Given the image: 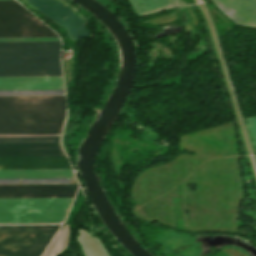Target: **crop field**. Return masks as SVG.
Here are the masks:
<instances>
[{
    "instance_id": "crop-field-14",
    "label": "crop field",
    "mask_w": 256,
    "mask_h": 256,
    "mask_svg": "<svg viewBox=\"0 0 256 256\" xmlns=\"http://www.w3.org/2000/svg\"><path fill=\"white\" fill-rule=\"evenodd\" d=\"M12 142H59V137H13L0 138V143Z\"/></svg>"
},
{
    "instance_id": "crop-field-10",
    "label": "crop field",
    "mask_w": 256,
    "mask_h": 256,
    "mask_svg": "<svg viewBox=\"0 0 256 256\" xmlns=\"http://www.w3.org/2000/svg\"><path fill=\"white\" fill-rule=\"evenodd\" d=\"M64 89L62 77H0V90Z\"/></svg>"
},
{
    "instance_id": "crop-field-4",
    "label": "crop field",
    "mask_w": 256,
    "mask_h": 256,
    "mask_svg": "<svg viewBox=\"0 0 256 256\" xmlns=\"http://www.w3.org/2000/svg\"><path fill=\"white\" fill-rule=\"evenodd\" d=\"M58 36L16 1H0V37Z\"/></svg>"
},
{
    "instance_id": "crop-field-13",
    "label": "crop field",
    "mask_w": 256,
    "mask_h": 256,
    "mask_svg": "<svg viewBox=\"0 0 256 256\" xmlns=\"http://www.w3.org/2000/svg\"><path fill=\"white\" fill-rule=\"evenodd\" d=\"M69 225L65 224L43 256H55L67 247Z\"/></svg>"
},
{
    "instance_id": "crop-field-11",
    "label": "crop field",
    "mask_w": 256,
    "mask_h": 256,
    "mask_svg": "<svg viewBox=\"0 0 256 256\" xmlns=\"http://www.w3.org/2000/svg\"><path fill=\"white\" fill-rule=\"evenodd\" d=\"M65 155L60 143L0 144V156Z\"/></svg>"
},
{
    "instance_id": "crop-field-12",
    "label": "crop field",
    "mask_w": 256,
    "mask_h": 256,
    "mask_svg": "<svg viewBox=\"0 0 256 256\" xmlns=\"http://www.w3.org/2000/svg\"><path fill=\"white\" fill-rule=\"evenodd\" d=\"M0 178H75L71 169L0 170Z\"/></svg>"
},
{
    "instance_id": "crop-field-8",
    "label": "crop field",
    "mask_w": 256,
    "mask_h": 256,
    "mask_svg": "<svg viewBox=\"0 0 256 256\" xmlns=\"http://www.w3.org/2000/svg\"><path fill=\"white\" fill-rule=\"evenodd\" d=\"M65 96L0 97V109L65 108Z\"/></svg>"
},
{
    "instance_id": "crop-field-9",
    "label": "crop field",
    "mask_w": 256,
    "mask_h": 256,
    "mask_svg": "<svg viewBox=\"0 0 256 256\" xmlns=\"http://www.w3.org/2000/svg\"><path fill=\"white\" fill-rule=\"evenodd\" d=\"M68 211L0 212V224L62 223Z\"/></svg>"
},
{
    "instance_id": "crop-field-5",
    "label": "crop field",
    "mask_w": 256,
    "mask_h": 256,
    "mask_svg": "<svg viewBox=\"0 0 256 256\" xmlns=\"http://www.w3.org/2000/svg\"><path fill=\"white\" fill-rule=\"evenodd\" d=\"M78 185L0 186V198L74 197Z\"/></svg>"
},
{
    "instance_id": "crop-field-2",
    "label": "crop field",
    "mask_w": 256,
    "mask_h": 256,
    "mask_svg": "<svg viewBox=\"0 0 256 256\" xmlns=\"http://www.w3.org/2000/svg\"><path fill=\"white\" fill-rule=\"evenodd\" d=\"M65 109L0 110V134H60Z\"/></svg>"
},
{
    "instance_id": "crop-field-6",
    "label": "crop field",
    "mask_w": 256,
    "mask_h": 256,
    "mask_svg": "<svg viewBox=\"0 0 256 256\" xmlns=\"http://www.w3.org/2000/svg\"><path fill=\"white\" fill-rule=\"evenodd\" d=\"M74 198L0 199V211L68 210Z\"/></svg>"
},
{
    "instance_id": "crop-field-15",
    "label": "crop field",
    "mask_w": 256,
    "mask_h": 256,
    "mask_svg": "<svg viewBox=\"0 0 256 256\" xmlns=\"http://www.w3.org/2000/svg\"><path fill=\"white\" fill-rule=\"evenodd\" d=\"M12 41H61L60 37H12V38H0V42H12Z\"/></svg>"
},
{
    "instance_id": "crop-field-3",
    "label": "crop field",
    "mask_w": 256,
    "mask_h": 256,
    "mask_svg": "<svg viewBox=\"0 0 256 256\" xmlns=\"http://www.w3.org/2000/svg\"><path fill=\"white\" fill-rule=\"evenodd\" d=\"M60 225L0 226V256L41 255Z\"/></svg>"
},
{
    "instance_id": "crop-field-1",
    "label": "crop field",
    "mask_w": 256,
    "mask_h": 256,
    "mask_svg": "<svg viewBox=\"0 0 256 256\" xmlns=\"http://www.w3.org/2000/svg\"><path fill=\"white\" fill-rule=\"evenodd\" d=\"M0 76H62L60 42L0 43Z\"/></svg>"
},
{
    "instance_id": "crop-field-16",
    "label": "crop field",
    "mask_w": 256,
    "mask_h": 256,
    "mask_svg": "<svg viewBox=\"0 0 256 256\" xmlns=\"http://www.w3.org/2000/svg\"><path fill=\"white\" fill-rule=\"evenodd\" d=\"M13 136H60V135H0V137H13Z\"/></svg>"
},
{
    "instance_id": "crop-field-7",
    "label": "crop field",
    "mask_w": 256,
    "mask_h": 256,
    "mask_svg": "<svg viewBox=\"0 0 256 256\" xmlns=\"http://www.w3.org/2000/svg\"><path fill=\"white\" fill-rule=\"evenodd\" d=\"M72 168L66 156L0 157V169Z\"/></svg>"
}]
</instances>
